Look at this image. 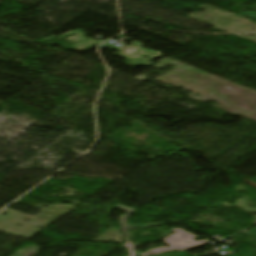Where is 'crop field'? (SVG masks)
Here are the masks:
<instances>
[{"instance_id":"412701ff","label":"crop field","mask_w":256,"mask_h":256,"mask_svg":"<svg viewBox=\"0 0 256 256\" xmlns=\"http://www.w3.org/2000/svg\"><path fill=\"white\" fill-rule=\"evenodd\" d=\"M37 251V246H30L28 248H26V251L23 253H15L12 256H32L34 254H36Z\"/></svg>"},{"instance_id":"8a807250","label":"crop field","mask_w":256,"mask_h":256,"mask_svg":"<svg viewBox=\"0 0 256 256\" xmlns=\"http://www.w3.org/2000/svg\"><path fill=\"white\" fill-rule=\"evenodd\" d=\"M171 230L174 234L170 235L167 238H163L164 243L170 245L169 248L162 247V248L152 249L139 255L148 256V255H153L158 253L172 252L175 250L182 252V251L189 250V249L199 247L209 243L207 239L198 241V242L194 241V239L197 237L193 234L187 233L182 228H175ZM187 241H189V243H186Z\"/></svg>"},{"instance_id":"ac0d7876","label":"crop field","mask_w":256,"mask_h":256,"mask_svg":"<svg viewBox=\"0 0 256 256\" xmlns=\"http://www.w3.org/2000/svg\"><path fill=\"white\" fill-rule=\"evenodd\" d=\"M115 208L127 211L123 216L119 217V221H120L121 231L124 232V235L127 236V238H129L127 229H132V228H136V227L127 228V226H132V225H127L126 219H128L130 217V214L133 211H135L136 209L128 208V207H123V206H119V205H116ZM127 213H128V215H127ZM126 215H127V218H126ZM149 224H153V225H149ZM159 225H161V223H158V224L148 223V226H141L139 228L154 227V226H159Z\"/></svg>"},{"instance_id":"f4fd0767","label":"crop field","mask_w":256,"mask_h":256,"mask_svg":"<svg viewBox=\"0 0 256 256\" xmlns=\"http://www.w3.org/2000/svg\"><path fill=\"white\" fill-rule=\"evenodd\" d=\"M123 246L128 249L130 256H136V254L132 251L134 248V245L129 241V239L127 240L126 244Z\"/></svg>"},{"instance_id":"34b2d1b8","label":"crop field","mask_w":256,"mask_h":256,"mask_svg":"<svg viewBox=\"0 0 256 256\" xmlns=\"http://www.w3.org/2000/svg\"><path fill=\"white\" fill-rule=\"evenodd\" d=\"M221 205H223L225 207H233V205H230L226 202L221 203ZM234 206H238V207L242 208L244 212H254V213H256V209H253V208L249 207L248 201L244 198H241V199L235 201Z\"/></svg>"},{"instance_id":"dd49c442","label":"crop field","mask_w":256,"mask_h":256,"mask_svg":"<svg viewBox=\"0 0 256 256\" xmlns=\"http://www.w3.org/2000/svg\"><path fill=\"white\" fill-rule=\"evenodd\" d=\"M250 236H256V228L252 229L251 231L247 232Z\"/></svg>"}]
</instances>
